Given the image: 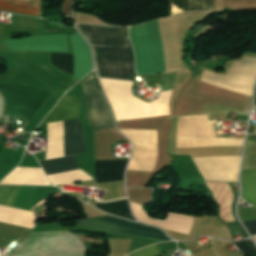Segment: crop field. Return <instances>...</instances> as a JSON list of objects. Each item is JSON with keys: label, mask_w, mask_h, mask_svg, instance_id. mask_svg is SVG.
Wrapping results in <instances>:
<instances>
[{"label": "crop field", "mask_w": 256, "mask_h": 256, "mask_svg": "<svg viewBox=\"0 0 256 256\" xmlns=\"http://www.w3.org/2000/svg\"><path fill=\"white\" fill-rule=\"evenodd\" d=\"M70 38L74 52V82H77L92 70L93 64L86 42L77 33L71 35Z\"/></svg>", "instance_id": "crop-field-7"}, {"label": "crop field", "mask_w": 256, "mask_h": 256, "mask_svg": "<svg viewBox=\"0 0 256 256\" xmlns=\"http://www.w3.org/2000/svg\"><path fill=\"white\" fill-rule=\"evenodd\" d=\"M243 199L256 206V170L242 171Z\"/></svg>", "instance_id": "crop-field-14"}, {"label": "crop field", "mask_w": 256, "mask_h": 256, "mask_svg": "<svg viewBox=\"0 0 256 256\" xmlns=\"http://www.w3.org/2000/svg\"><path fill=\"white\" fill-rule=\"evenodd\" d=\"M4 43L13 51L45 50L68 52L65 35L32 36L19 40H5Z\"/></svg>", "instance_id": "crop-field-6"}, {"label": "crop field", "mask_w": 256, "mask_h": 256, "mask_svg": "<svg viewBox=\"0 0 256 256\" xmlns=\"http://www.w3.org/2000/svg\"><path fill=\"white\" fill-rule=\"evenodd\" d=\"M84 93L89 101L87 117L93 130L115 128L109 114L108 105L101 93H99L93 75L81 83Z\"/></svg>", "instance_id": "crop-field-5"}, {"label": "crop field", "mask_w": 256, "mask_h": 256, "mask_svg": "<svg viewBox=\"0 0 256 256\" xmlns=\"http://www.w3.org/2000/svg\"><path fill=\"white\" fill-rule=\"evenodd\" d=\"M171 15L188 11H215V0H171Z\"/></svg>", "instance_id": "crop-field-11"}, {"label": "crop field", "mask_w": 256, "mask_h": 256, "mask_svg": "<svg viewBox=\"0 0 256 256\" xmlns=\"http://www.w3.org/2000/svg\"><path fill=\"white\" fill-rule=\"evenodd\" d=\"M235 246L240 249L246 256H256V248L252 241L244 240L240 242H234Z\"/></svg>", "instance_id": "crop-field-18"}, {"label": "crop field", "mask_w": 256, "mask_h": 256, "mask_svg": "<svg viewBox=\"0 0 256 256\" xmlns=\"http://www.w3.org/2000/svg\"><path fill=\"white\" fill-rule=\"evenodd\" d=\"M138 74L165 72L157 20L130 28Z\"/></svg>", "instance_id": "crop-field-3"}, {"label": "crop field", "mask_w": 256, "mask_h": 256, "mask_svg": "<svg viewBox=\"0 0 256 256\" xmlns=\"http://www.w3.org/2000/svg\"><path fill=\"white\" fill-rule=\"evenodd\" d=\"M128 160L95 161L96 182L123 180V173Z\"/></svg>", "instance_id": "crop-field-9"}, {"label": "crop field", "mask_w": 256, "mask_h": 256, "mask_svg": "<svg viewBox=\"0 0 256 256\" xmlns=\"http://www.w3.org/2000/svg\"><path fill=\"white\" fill-rule=\"evenodd\" d=\"M0 9L40 16V0H0Z\"/></svg>", "instance_id": "crop-field-12"}, {"label": "crop field", "mask_w": 256, "mask_h": 256, "mask_svg": "<svg viewBox=\"0 0 256 256\" xmlns=\"http://www.w3.org/2000/svg\"><path fill=\"white\" fill-rule=\"evenodd\" d=\"M254 105H256V97H255V104Z\"/></svg>", "instance_id": "crop-field-21"}, {"label": "crop field", "mask_w": 256, "mask_h": 256, "mask_svg": "<svg viewBox=\"0 0 256 256\" xmlns=\"http://www.w3.org/2000/svg\"><path fill=\"white\" fill-rule=\"evenodd\" d=\"M95 207H97L105 212L117 215L119 217L134 220L131 216L127 199L116 201V202H111V203H98L97 202V205ZM134 221H136V220H134Z\"/></svg>", "instance_id": "crop-field-15"}, {"label": "crop field", "mask_w": 256, "mask_h": 256, "mask_svg": "<svg viewBox=\"0 0 256 256\" xmlns=\"http://www.w3.org/2000/svg\"><path fill=\"white\" fill-rule=\"evenodd\" d=\"M51 62L60 70L73 74V55L52 54Z\"/></svg>", "instance_id": "crop-field-17"}, {"label": "crop field", "mask_w": 256, "mask_h": 256, "mask_svg": "<svg viewBox=\"0 0 256 256\" xmlns=\"http://www.w3.org/2000/svg\"><path fill=\"white\" fill-rule=\"evenodd\" d=\"M76 224L91 227L100 231L122 233L162 241L171 240L164 232L157 228L148 226L144 227L140 223H133L113 216L78 220L76 221Z\"/></svg>", "instance_id": "crop-field-4"}, {"label": "crop field", "mask_w": 256, "mask_h": 256, "mask_svg": "<svg viewBox=\"0 0 256 256\" xmlns=\"http://www.w3.org/2000/svg\"><path fill=\"white\" fill-rule=\"evenodd\" d=\"M99 80L117 121L169 115V99L172 90L159 93V99L147 104L132 95V82Z\"/></svg>", "instance_id": "crop-field-2"}, {"label": "crop field", "mask_w": 256, "mask_h": 256, "mask_svg": "<svg viewBox=\"0 0 256 256\" xmlns=\"http://www.w3.org/2000/svg\"><path fill=\"white\" fill-rule=\"evenodd\" d=\"M65 156L86 153L82 123L79 120L63 122Z\"/></svg>", "instance_id": "crop-field-8"}, {"label": "crop field", "mask_w": 256, "mask_h": 256, "mask_svg": "<svg viewBox=\"0 0 256 256\" xmlns=\"http://www.w3.org/2000/svg\"><path fill=\"white\" fill-rule=\"evenodd\" d=\"M79 105L75 97L65 95L44 122L77 118Z\"/></svg>", "instance_id": "crop-field-10"}, {"label": "crop field", "mask_w": 256, "mask_h": 256, "mask_svg": "<svg viewBox=\"0 0 256 256\" xmlns=\"http://www.w3.org/2000/svg\"><path fill=\"white\" fill-rule=\"evenodd\" d=\"M46 175L79 168L75 156L39 162Z\"/></svg>", "instance_id": "crop-field-13"}, {"label": "crop field", "mask_w": 256, "mask_h": 256, "mask_svg": "<svg viewBox=\"0 0 256 256\" xmlns=\"http://www.w3.org/2000/svg\"><path fill=\"white\" fill-rule=\"evenodd\" d=\"M157 254H161V251L159 250L157 245H153L140 249L129 256H154Z\"/></svg>", "instance_id": "crop-field-19"}, {"label": "crop field", "mask_w": 256, "mask_h": 256, "mask_svg": "<svg viewBox=\"0 0 256 256\" xmlns=\"http://www.w3.org/2000/svg\"><path fill=\"white\" fill-rule=\"evenodd\" d=\"M21 186L1 185L0 205L11 207Z\"/></svg>", "instance_id": "crop-field-16"}, {"label": "crop field", "mask_w": 256, "mask_h": 256, "mask_svg": "<svg viewBox=\"0 0 256 256\" xmlns=\"http://www.w3.org/2000/svg\"><path fill=\"white\" fill-rule=\"evenodd\" d=\"M244 224L251 235L256 234V221L244 222Z\"/></svg>", "instance_id": "crop-field-20"}, {"label": "crop field", "mask_w": 256, "mask_h": 256, "mask_svg": "<svg viewBox=\"0 0 256 256\" xmlns=\"http://www.w3.org/2000/svg\"><path fill=\"white\" fill-rule=\"evenodd\" d=\"M79 26L96 48L101 77L135 81L134 54L127 27Z\"/></svg>", "instance_id": "crop-field-1"}]
</instances>
